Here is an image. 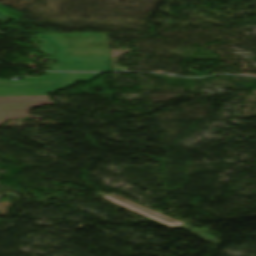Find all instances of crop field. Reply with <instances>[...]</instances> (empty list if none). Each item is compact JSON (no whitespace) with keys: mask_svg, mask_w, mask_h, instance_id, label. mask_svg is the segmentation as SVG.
I'll return each instance as SVG.
<instances>
[{"mask_svg":"<svg viewBox=\"0 0 256 256\" xmlns=\"http://www.w3.org/2000/svg\"><path fill=\"white\" fill-rule=\"evenodd\" d=\"M101 73H59L60 81H10L0 80V96L47 95L57 89H66L77 81L89 82Z\"/></svg>","mask_w":256,"mask_h":256,"instance_id":"8a807250","label":"crop field"},{"mask_svg":"<svg viewBox=\"0 0 256 256\" xmlns=\"http://www.w3.org/2000/svg\"><path fill=\"white\" fill-rule=\"evenodd\" d=\"M42 37L49 40L56 48V51L109 50L107 33L50 35Z\"/></svg>","mask_w":256,"mask_h":256,"instance_id":"ac0d7876","label":"crop field"},{"mask_svg":"<svg viewBox=\"0 0 256 256\" xmlns=\"http://www.w3.org/2000/svg\"><path fill=\"white\" fill-rule=\"evenodd\" d=\"M54 104L48 96L0 97V126L10 119L30 115L33 107Z\"/></svg>","mask_w":256,"mask_h":256,"instance_id":"34b2d1b8","label":"crop field"},{"mask_svg":"<svg viewBox=\"0 0 256 256\" xmlns=\"http://www.w3.org/2000/svg\"><path fill=\"white\" fill-rule=\"evenodd\" d=\"M102 197H105L129 210H132L134 212H137L139 214H142L144 216H147L149 218H152L154 220H157L159 222H162L164 224H167L169 226H178L180 224H183L182 222H179L177 220H174L172 218H169L167 216H164L162 214H159L157 212H154L152 210H149L147 208H144L130 200H127L117 194H109V195H101Z\"/></svg>","mask_w":256,"mask_h":256,"instance_id":"412701ff","label":"crop field"},{"mask_svg":"<svg viewBox=\"0 0 256 256\" xmlns=\"http://www.w3.org/2000/svg\"><path fill=\"white\" fill-rule=\"evenodd\" d=\"M1 198V197H0Z\"/></svg>","mask_w":256,"mask_h":256,"instance_id":"f4fd0767","label":"crop field"}]
</instances>
